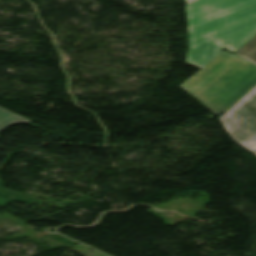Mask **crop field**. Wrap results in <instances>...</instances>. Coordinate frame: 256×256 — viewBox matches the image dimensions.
<instances>
[{"instance_id": "8a807250", "label": "crop field", "mask_w": 256, "mask_h": 256, "mask_svg": "<svg viewBox=\"0 0 256 256\" xmlns=\"http://www.w3.org/2000/svg\"><path fill=\"white\" fill-rule=\"evenodd\" d=\"M187 63L202 69L224 48L236 51L256 34V0H186Z\"/></svg>"}, {"instance_id": "ac0d7876", "label": "crop field", "mask_w": 256, "mask_h": 256, "mask_svg": "<svg viewBox=\"0 0 256 256\" xmlns=\"http://www.w3.org/2000/svg\"><path fill=\"white\" fill-rule=\"evenodd\" d=\"M255 85L256 66L224 52L180 87L217 114L224 112Z\"/></svg>"}, {"instance_id": "34b2d1b8", "label": "crop field", "mask_w": 256, "mask_h": 256, "mask_svg": "<svg viewBox=\"0 0 256 256\" xmlns=\"http://www.w3.org/2000/svg\"><path fill=\"white\" fill-rule=\"evenodd\" d=\"M219 119L239 145L256 151V88Z\"/></svg>"}, {"instance_id": "412701ff", "label": "crop field", "mask_w": 256, "mask_h": 256, "mask_svg": "<svg viewBox=\"0 0 256 256\" xmlns=\"http://www.w3.org/2000/svg\"><path fill=\"white\" fill-rule=\"evenodd\" d=\"M32 121L17 115L7 109L0 107V130L12 125V124H28Z\"/></svg>"}, {"instance_id": "f4fd0767", "label": "crop field", "mask_w": 256, "mask_h": 256, "mask_svg": "<svg viewBox=\"0 0 256 256\" xmlns=\"http://www.w3.org/2000/svg\"><path fill=\"white\" fill-rule=\"evenodd\" d=\"M235 54L256 64V35L238 49Z\"/></svg>"}, {"instance_id": "dd49c442", "label": "crop field", "mask_w": 256, "mask_h": 256, "mask_svg": "<svg viewBox=\"0 0 256 256\" xmlns=\"http://www.w3.org/2000/svg\"><path fill=\"white\" fill-rule=\"evenodd\" d=\"M254 154H256V152H254Z\"/></svg>"}]
</instances>
